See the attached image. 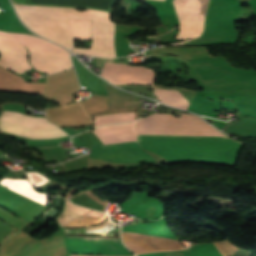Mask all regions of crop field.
<instances>
[{"label":"crop field","mask_w":256,"mask_h":256,"mask_svg":"<svg viewBox=\"0 0 256 256\" xmlns=\"http://www.w3.org/2000/svg\"><path fill=\"white\" fill-rule=\"evenodd\" d=\"M160 1H164V0H160Z\"/></svg>","instance_id":"crop-field-10"},{"label":"crop field","mask_w":256,"mask_h":256,"mask_svg":"<svg viewBox=\"0 0 256 256\" xmlns=\"http://www.w3.org/2000/svg\"><path fill=\"white\" fill-rule=\"evenodd\" d=\"M136 136L141 148L152 150L170 162L235 164L238 151L243 145L227 136Z\"/></svg>","instance_id":"crop-field-2"},{"label":"crop field","mask_w":256,"mask_h":256,"mask_svg":"<svg viewBox=\"0 0 256 256\" xmlns=\"http://www.w3.org/2000/svg\"><path fill=\"white\" fill-rule=\"evenodd\" d=\"M0 41L21 44L36 50L69 56V53L61 47L26 34L6 33L0 31ZM2 42H0V66L9 68L19 74L32 68L27 63V51L24 46ZM30 48V64L41 72L51 74L66 70L72 66L70 57L58 56L32 50Z\"/></svg>","instance_id":"crop-field-3"},{"label":"crop field","mask_w":256,"mask_h":256,"mask_svg":"<svg viewBox=\"0 0 256 256\" xmlns=\"http://www.w3.org/2000/svg\"><path fill=\"white\" fill-rule=\"evenodd\" d=\"M138 256H222L213 243L195 244L193 247L174 252H156Z\"/></svg>","instance_id":"crop-field-7"},{"label":"crop field","mask_w":256,"mask_h":256,"mask_svg":"<svg viewBox=\"0 0 256 256\" xmlns=\"http://www.w3.org/2000/svg\"><path fill=\"white\" fill-rule=\"evenodd\" d=\"M69 253L132 255L119 237L66 239Z\"/></svg>","instance_id":"crop-field-6"},{"label":"crop field","mask_w":256,"mask_h":256,"mask_svg":"<svg viewBox=\"0 0 256 256\" xmlns=\"http://www.w3.org/2000/svg\"><path fill=\"white\" fill-rule=\"evenodd\" d=\"M19 15L44 16L60 18H84L95 21L110 22L107 16L110 11L87 9L78 12L73 8L15 7ZM20 16L23 22L39 35L57 42L69 49L73 47V38L67 19ZM92 21L91 49L75 48L73 52L116 57L114 47L115 25Z\"/></svg>","instance_id":"crop-field-1"},{"label":"crop field","mask_w":256,"mask_h":256,"mask_svg":"<svg viewBox=\"0 0 256 256\" xmlns=\"http://www.w3.org/2000/svg\"><path fill=\"white\" fill-rule=\"evenodd\" d=\"M0 128L6 132L34 139H52L67 136L46 118L30 117L18 112L4 111L0 117Z\"/></svg>","instance_id":"crop-field-4"},{"label":"crop field","mask_w":256,"mask_h":256,"mask_svg":"<svg viewBox=\"0 0 256 256\" xmlns=\"http://www.w3.org/2000/svg\"><path fill=\"white\" fill-rule=\"evenodd\" d=\"M238 1H240V2H248V0H238Z\"/></svg>","instance_id":"crop-field-9"},{"label":"crop field","mask_w":256,"mask_h":256,"mask_svg":"<svg viewBox=\"0 0 256 256\" xmlns=\"http://www.w3.org/2000/svg\"><path fill=\"white\" fill-rule=\"evenodd\" d=\"M89 156L123 163L154 160L142 151L137 141L92 146Z\"/></svg>","instance_id":"crop-field-5"},{"label":"crop field","mask_w":256,"mask_h":256,"mask_svg":"<svg viewBox=\"0 0 256 256\" xmlns=\"http://www.w3.org/2000/svg\"><path fill=\"white\" fill-rule=\"evenodd\" d=\"M68 22L74 38L90 40L91 21L84 19H69Z\"/></svg>","instance_id":"crop-field-8"}]
</instances>
